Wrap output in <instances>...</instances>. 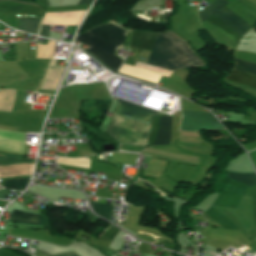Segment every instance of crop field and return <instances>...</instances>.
<instances>
[{"instance_id": "8", "label": "crop field", "mask_w": 256, "mask_h": 256, "mask_svg": "<svg viewBox=\"0 0 256 256\" xmlns=\"http://www.w3.org/2000/svg\"><path fill=\"white\" fill-rule=\"evenodd\" d=\"M0 1H6V0H0ZM11 1L26 3V4H30V5H36L35 3L21 1V0H11ZM11 1L0 2V11L1 12L23 13V14H30V15H39V16H43V14H44V12L39 7L15 3V2H11ZM36 6H38V5H36Z\"/></svg>"}, {"instance_id": "6", "label": "crop field", "mask_w": 256, "mask_h": 256, "mask_svg": "<svg viewBox=\"0 0 256 256\" xmlns=\"http://www.w3.org/2000/svg\"><path fill=\"white\" fill-rule=\"evenodd\" d=\"M221 129L209 113L182 111L180 130L196 131Z\"/></svg>"}, {"instance_id": "4", "label": "crop field", "mask_w": 256, "mask_h": 256, "mask_svg": "<svg viewBox=\"0 0 256 256\" xmlns=\"http://www.w3.org/2000/svg\"><path fill=\"white\" fill-rule=\"evenodd\" d=\"M228 2L224 0H216L207 6L205 9L198 12V16L201 22H204L209 17L213 16L217 13L221 8H223ZM217 18L224 21L227 25H229L233 30H235L239 35L245 32L251 26L244 22L242 19L237 17L233 12L229 11L225 7L221 9L217 14H215ZM211 17L206 20L216 28H218L222 33H224L230 40H232L235 44L239 39V35L233 31L229 26H227L224 22L217 19L216 17Z\"/></svg>"}, {"instance_id": "17", "label": "crop field", "mask_w": 256, "mask_h": 256, "mask_svg": "<svg viewBox=\"0 0 256 256\" xmlns=\"http://www.w3.org/2000/svg\"><path fill=\"white\" fill-rule=\"evenodd\" d=\"M91 203V202H90ZM93 210L101 217L111 220L113 206L91 203Z\"/></svg>"}, {"instance_id": "13", "label": "crop field", "mask_w": 256, "mask_h": 256, "mask_svg": "<svg viewBox=\"0 0 256 256\" xmlns=\"http://www.w3.org/2000/svg\"><path fill=\"white\" fill-rule=\"evenodd\" d=\"M226 79H229L234 82H237V83H240V84H243L248 87L256 89V76L255 75L232 70V72L226 77Z\"/></svg>"}, {"instance_id": "10", "label": "crop field", "mask_w": 256, "mask_h": 256, "mask_svg": "<svg viewBox=\"0 0 256 256\" xmlns=\"http://www.w3.org/2000/svg\"><path fill=\"white\" fill-rule=\"evenodd\" d=\"M153 35V33H140L133 31L129 47L149 51Z\"/></svg>"}, {"instance_id": "1", "label": "crop field", "mask_w": 256, "mask_h": 256, "mask_svg": "<svg viewBox=\"0 0 256 256\" xmlns=\"http://www.w3.org/2000/svg\"><path fill=\"white\" fill-rule=\"evenodd\" d=\"M147 64L173 71L174 68L204 65L199 57L188 47L186 41L172 31L155 34ZM151 63V64H149ZM137 63L136 67L122 64L119 73L158 84L162 76L169 78L171 71Z\"/></svg>"}, {"instance_id": "18", "label": "crop field", "mask_w": 256, "mask_h": 256, "mask_svg": "<svg viewBox=\"0 0 256 256\" xmlns=\"http://www.w3.org/2000/svg\"><path fill=\"white\" fill-rule=\"evenodd\" d=\"M235 61H236V67H235L236 70L256 74V64L243 61L240 59H236V58H235Z\"/></svg>"}, {"instance_id": "19", "label": "crop field", "mask_w": 256, "mask_h": 256, "mask_svg": "<svg viewBox=\"0 0 256 256\" xmlns=\"http://www.w3.org/2000/svg\"><path fill=\"white\" fill-rule=\"evenodd\" d=\"M28 181H29V178L19 179V180H6L3 182H4L5 188L23 190L26 187Z\"/></svg>"}, {"instance_id": "25", "label": "crop field", "mask_w": 256, "mask_h": 256, "mask_svg": "<svg viewBox=\"0 0 256 256\" xmlns=\"http://www.w3.org/2000/svg\"><path fill=\"white\" fill-rule=\"evenodd\" d=\"M6 192H7V191H5V190H0V199H3V197H4L5 194H6ZM9 192H10V191H8L6 195H8Z\"/></svg>"}, {"instance_id": "12", "label": "crop field", "mask_w": 256, "mask_h": 256, "mask_svg": "<svg viewBox=\"0 0 256 256\" xmlns=\"http://www.w3.org/2000/svg\"><path fill=\"white\" fill-rule=\"evenodd\" d=\"M194 167H195V165L177 163L175 165V167L166 175V177H168V178H170V179L179 183V182H181L182 180L185 179V177L193 170Z\"/></svg>"}, {"instance_id": "11", "label": "crop field", "mask_w": 256, "mask_h": 256, "mask_svg": "<svg viewBox=\"0 0 256 256\" xmlns=\"http://www.w3.org/2000/svg\"><path fill=\"white\" fill-rule=\"evenodd\" d=\"M172 117H161L158 135L153 145H167L171 137Z\"/></svg>"}, {"instance_id": "2", "label": "crop field", "mask_w": 256, "mask_h": 256, "mask_svg": "<svg viewBox=\"0 0 256 256\" xmlns=\"http://www.w3.org/2000/svg\"><path fill=\"white\" fill-rule=\"evenodd\" d=\"M120 101L114 120L106 132L118 143L147 145L151 115L159 112Z\"/></svg>"}, {"instance_id": "9", "label": "crop field", "mask_w": 256, "mask_h": 256, "mask_svg": "<svg viewBox=\"0 0 256 256\" xmlns=\"http://www.w3.org/2000/svg\"><path fill=\"white\" fill-rule=\"evenodd\" d=\"M8 221L42 225V228H48L46 220L41 215L29 214L16 210L12 212Z\"/></svg>"}, {"instance_id": "22", "label": "crop field", "mask_w": 256, "mask_h": 256, "mask_svg": "<svg viewBox=\"0 0 256 256\" xmlns=\"http://www.w3.org/2000/svg\"><path fill=\"white\" fill-rule=\"evenodd\" d=\"M37 251V250H36ZM35 256H49L41 251H37ZM54 256H78L77 254H75L74 252L71 253H66V254H60V255H54Z\"/></svg>"}, {"instance_id": "21", "label": "crop field", "mask_w": 256, "mask_h": 256, "mask_svg": "<svg viewBox=\"0 0 256 256\" xmlns=\"http://www.w3.org/2000/svg\"><path fill=\"white\" fill-rule=\"evenodd\" d=\"M119 230H117L116 228H114L113 226L109 229V231L104 235L103 239H106V240H112V238L116 235V233L118 232Z\"/></svg>"}, {"instance_id": "7", "label": "crop field", "mask_w": 256, "mask_h": 256, "mask_svg": "<svg viewBox=\"0 0 256 256\" xmlns=\"http://www.w3.org/2000/svg\"><path fill=\"white\" fill-rule=\"evenodd\" d=\"M26 162H34V160L21 159V158H15L10 156L0 157V164L26 163ZM32 166H33V163L0 165V177H8V176H14V175H31Z\"/></svg>"}, {"instance_id": "14", "label": "crop field", "mask_w": 256, "mask_h": 256, "mask_svg": "<svg viewBox=\"0 0 256 256\" xmlns=\"http://www.w3.org/2000/svg\"><path fill=\"white\" fill-rule=\"evenodd\" d=\"M228 179H233L240 183L246 184L248 186L256 184V174L255 173H232L228 172Z\"/></svg>"}, {"instance_id": "20", "label": "crop field", "mask_w": 256, "mask_h": 256, "mask_svg": "<svg viewBox=\"0 0 256 256\" xmlns=\"http://www.w3.org/2000/svg\"><path fill=\"white\" fill-rule=\"evenodd\" d=\"M158 120H159V117L152 116V124H151V129L148 137V146H150L156 138Z\"/></svg>"}, {"instance_id": "5", "label": "crop field", "mask_w": 256, "mask_h": 256, "mask_svg": "<svg viewBox=\"0 0 256 256\" xmlns=\"http://www.w3.org/2000/svg\"><path fill=\"white\" fill-rule=\"evenodd\" d=\"M247 187L248 186L229 180L223 193L218 195L214 204L217 206L236 208L241 196L245 195ZM205 213L221 227L226 229H237L225 216L221 215L214 206L205 211Z\"/></svg>"}, {"instance_id": "23", "label": "crop field", "mask_w": 256, "mask_h": 256, "mask_svg": "<svg viewBox=\"0 0 256 256\" xmlns=\"http://www.w3.org/2000/svg\"><path fill=\"white\" fill-rule=\"evenodd\" d=\"M50 26L43 25L40 35L48 37Z\"/></svg>"}, {"instance_id": "16", "label": "crop field", "mask_w": 256, "mask_h": 256, "mask_svg": "<svg viewBox=\"0 0 256 256\" xmlns=\"http://www.w3.org/2000/svg\"><path fill=\"white\" fill-rule=\"evenodd\" d=\"M59 164L77 166L89 169L90 159H68V158H58L56 161Z\"/></svg>"}, {"instance_id": "24", "label": "crop field", "mask_w": 256, "mask_h": 256, "mask_svg": "<svg viewBox=\"0 0 256 256\" xmlns=\"http://www.w3.org/2000/svg\"><path fill=\"white\" fill-rule=\"evenodd\" d=\"M93 0H81L78 5L91 4Z\"/></svg>"}, {"instance_id": "3", "label": "crop field", "mask_w": 256, "mask_h": 256, "mask_svg": "<svg viewBox=\"0 0 256 256\" xmlns=\"http://www.w3.org/2000/svg\"><path fill=\"white\" fill-rule=\"evenodd\" d=\"M127 32L108 22L77 36L76 40L87 44L89 47L86 50L117 72L122 61L115 54L122 46Z\"/></svg>"}, {"instance_id": "15", "label": "crop field", "mask_w": 256, "mask_h": 256, "mask_svg": "<svg viewBox=\"0 0 256 256\" xmlns=\"http://www.w3.org/2000/svg\"><path fill=\"white\" fill-rule=\"evenodd\" d=\"M39 22L40 20L31 19V18L20 19L18 29L36 34L38 30Z\"/></svg>"}]
</instances>
